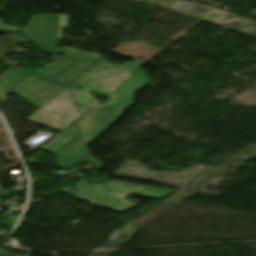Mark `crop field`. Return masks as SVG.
Segmentation results:
<instances>
[{"instance_id":"2","label":"crop field","mask_w":256,"mask_h":256,"mask_svg":"<svg viewBox=\"0 0 256 256\" xmlns=\"http://www.w3.org/2000/svg\"><path fill=\"white\" fill-rule=\"evenodd\" d=\"M144 63L133 61L124 65H114L105 61L94 64L80 77L68 85V89L80 108L82 114L98 101L88 95L89 92L107 96L137 70ZM75 85L84 86V89H74Z\"/></svg>"},{"instance_id":"11","label":"crop field","mask_w":256,"mask_h":256,"mask_svg":"<svg viewBox=\"0 0 256 256\" xmlns=\"http://www.w3.org/2000/svg\"><path fill=\"white\" fill-rule=\"evenodd\" d=\"M67 25H68V16L59 14L57 43H56V51H55V53L57 54H58L57 52L58 41L62 38V29H67Z\"/></svg>"},{"instance_id":"1","label":"crop field","mask_w":256,"mask_h":256,"mask_svg":"<svg viewBox=\"0 0 256 256\" xmlns=\"http://www.w3.org/2000/svg\"><path fill=\"white\" fill-rule=\"evenodd\" d=\"M150 83L140 69L114 90L105 104H96L75 122L86 142L97 138L123 111L133 103V93Z\"/></svg>"},{"instance_id":"6","label":"crop field","mask_w":256,"mask_h":256,"mask_svg":"<svg viewBox=\"0 0 256 256\" xmlns=\"http://www.w3.org/2000/svg\"><path fill=\"white\" fill-rule=\"evenodd\" d=\"M58 16H32L21 36L29 39L47 53H54Z\"/></svg>"},{"instance_id":"4","label":"crop field","mask_w":256,"mask_h":256,"mask_svg":"<svg viewBox=\"0 0 256 256\" xmlns=\"http://www.w3.org/2000/svg\"><path fill=\"white\" fill-rule=\"evenodd\" d=\"M80 114L66 87L26 121L61 131Z\"/></svg>"},{"instance_id":"9","label":"crop field","mask_w":256,"mask_h":256,"mask_svg":"<svg viewBox=\"0 0 256 256\" xmlns=\"http://www.w3.org/2000/svg\"><path fill=\"white\" fill-rule=\"evenodd\" d=\"M30 73L11 67L0 76V100L22 83Z\"/></svg>"},{"instance_id":"3","label":"crop field","mask_w":256,"mask_h":256,"mask_svg":"<svg viewBox=\"0 0 256 256\" xmlns=\"http://www.w3.org/2000/svg\"><path fill=\"white\" fill-rule=\"evenodd\" d=\"M76 189L79 190L76 194L78 198L88 200L91 204L113 208L119 212H123L135 206L134 203L124 199L132 193L160 198L172 192L170 190L114 181L107 182L100 187L92 186L85 181H80Z\"/></svg>"},{"instance_id":"5","label":"crop field","mask_w":256,"mask_h":256,"mask_svg":"<svg viewBox=\"0 0 256 256\" xmlns=\"http://www.w3.org/2000/svg\"><path fill=\"white\" fill-rule=\"evenodd\" d=\"M40 150L55 154L65 171L89 154L74 123L62 130Z\"/></svg>"},{"instance_id":"8","label":"crop field","mask_w":256,"mask_h":256,"mask_svg":"<svg viewBox=\"0 0 256 256\" xmlns=\"http://www.w3.org/2000/svg\"><path fill=\"white\" fill-rule=\"evenodd\" d=\"M58 52L60 55L77 60L76 63H74L72 66H70L68 69H66L52 80L65 86L70 84L84 71L96 63V60L98 59L96 55L77 51L66 46L58 49Z\"/></svg>"},{"instance_id":"10","label":"crop field","mask_w":256,"mask_h":256,"mask_svg":"<svg viewBox=\"0 0 256 256\" xmlns=\"http://www.w3.org/2000/svg\"><path fill=\"white\" fill-rule=\"evenodd\" d=\"M74 62H76V61L64 57V58L58 60L54 66L47 67L43 71L37 73L36 75H39L41 77L51 80L55 76H57L59 73H61L63 70H65L70 65H72Z\"/></svg>"},{"instance_id":"7","label":"crop field","mask_w":256,"mask_h":256,"mask_svg":"<svg viewBox=\"0 0 256 256\" xmlns=\"http://www.w3.org/2000/svg\"><path fill=\"white\" fill-rule=\"evenodd\" d=\"M64 87L65 86L34 75L13 93L39 109Z\"/></svg>"}]
</instances>
